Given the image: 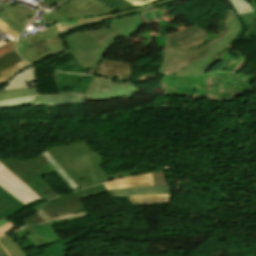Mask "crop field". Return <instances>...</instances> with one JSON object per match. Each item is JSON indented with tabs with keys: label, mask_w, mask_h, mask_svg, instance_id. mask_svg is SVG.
I'll return each instance as SVG.
<instances>
[{
	"label": "crop field",
	"mask_w": 256,
	"mask_h": 256,
	"mask_svg": "<svg viewBox=\"0 0 256 256\" xmlns=\"http://www.w3.org/2000/svg\"><path fill=\"white\" fill-rule=\"evenodd\" d=\"M62 3L55 8V13L67 20L101 16L117 12L114 8L95 0H59Z\"/></svg>",
	"instance_id": "crop-field-7"
},
{
	"label": "crop field",
	"mask_w": 256,
	"mask_h": 256,
	"mask_svg": "<svg viewBox=\"0 0 256 256\" xmlns=\"http://www.w3.org/2000/svg\"><path fill=\"white\" fill-rule=\"evenodd\" d=\"M155 185H169L163 169L152 172Z\"/></svg>",
	"instance_id": "crop-field-21"
},
{
	"label": "crop field",
	"mask_w": 256,
	"mask_h": 256,
	"mask_svg": "<svg viewBox=\"0 0 256 256\" xmlns=\"http://www.w3.org/2000/svg\"><path fill=\"white\" fill-rule=\"evenodd\" d=\"M31 228L48 243L58 239L49 223L31 226Z\"/></svg>",
	"instance_id": "crop-field-17"
},
{
	"label": "crop field",
	"mask_w": 256,
	"mask_h": 256,
	"mask_svg": "<svg viewBox=\"0 0 256 256\" xmlns=\"http://www.w3.org/2000/svg\"><path fill=\"white\" fill-rule=\"evenodd\" d=\"M34 16L35 13L14 5H11L0 11V19L3 18L4 22H6L20 34L31 22Z\"/></svg>",
	"instance_id": "crop-field-10"
},
{
	"label": "crop field",
	"mask_w": 256,
	"mask_h": 256,
	"mask_svg": "<svg viewBox=\"0 0 256 256\" xmlns=\"http://www.w3.org/2000/svg\"><path fill=\"white\" fill-rule=\"evenodd\" d=\"M54 29H56V27H54V28H52V29H49V30H47V31H44V32H42V33H39V34H43V33H46V32H48V31H51V30H54ZM39 34H36V35H39ZM36 35H34V36H36ZM34 36H31V37H34ZM31 37H29V38H31ZM29 38H26V39H24V40H27V39H29ZM24 40H21V41H19V42H22V41H24ZM19 42H17V43H19Z\"/></svg>",
	"instance_id": "crop-field-31"
},
{
	"label": "crop field",
	"mask_w": 256,
	"mask_h": 256,
	"mask_svg": "<svg viewBox=\"0 0 256 256\" xmlns=\"http://www.w3.org/2000/svg\"><path fill=\"white\" fill-rule=\"evenodd\" d=\"M57 1L58 0H47L44 3L46 5H51ZM97 1L107 3L119 11H124V10L131 9V8L135 7L133 4H131L130 2H128L126 0H97Z\"/></svg>",
	"instance_id": "crop-field-19"
},
{
	"label": "crop field",
	"mask_w": 256,
	"mask_h": 256,
	"mask_svg": "<svg viewBox=\"0 0 256 256\" xmlns=\"http://www.w3.org/2000/svg\"><path fill=\"white\" fill-rule=\"evenodd\" d=\"M138 172H141V171L135 169V170L127 171V172H122V173H117V174L109 175L108 177H109V179L111 180V179L123 177V176H126V175L138 173Z\"/></svg>",
	"instance_id": "crop-field-25"
},
{
	"label": "crop field",
	"mask_w": 256,
	"mask_h": 256,
	"mask_svg": "<svg viewBox=\"0 0 256 256\" xmlns=\"http://www.w3.org/2000/svg\"><path fill=\"white\" fill-rule=\"evenodd\" d=\"M15 42H16V40L13 41V42H11V43H8V44H6V45L1 46V47H0V56H2V55H4V54H6V53H8V52H10V51H12V50H14V49H15V47H14Z\"/></svg>",
	"instance_id": "crop-field-24"
},
{
	"label": "crop field",
	"mask_w": 256,
	"mask_h": 256,
	"mask_svg": "<svg viewBox=\"0 0 256 256\" xmlns=\"http://www.w3.org/2000/svg\"><path fill=\"white\" fill-rule=\"evenodd\" d=\"M52 172L74 191L42 155L29 161L0 160V220L36 201L57 196L41 178Z\"/></svg>",
	"instance_id": "crop-field-1"
},
{
	"label": "crop field",
	"mask_w": 256,
	"mask_h": 256,
	"mask_svg": "<svg viewBox=\"0 0 256 256\" xmlns=\"http://www.w3.org/2000/svg\"><path fill=\"white\" fill-rule=\"evenodd\" d=\"M86 94L82 93H61L55 95H38L33 103V107L37 106H59L73 103H85Z\"/></svg>",
	"instance_id": "crop-field-11"
},
{
	"label": "crop field",
	"mask_w": 256,
	"mask_h": 256,
	"mask_svg": "<svg viewBox=\"0 0 256 256\" xmlns=\"http://www.w3.org/2000/svg\"><path fill=\"white\" fill-rule=\"evenodd\" d=\"M79 186L87 187L107 181L100 165L104 162L99 153L84 141L48 150Z\"/></svg>",
	"instance_id": "crop-field-4"
},
{
	"label": "crop field",
	"mask_w": 256,
	"mask_h": 256,
	"mask_svg": "<svg viewBox=\"0 0 256 256\" xmlns=\"http://www.w3.org/2000/svg\"><path fill=\"white\" fill-rule=\"evenodd\" d=\"M49 163L59 172V174L69 183V185L74 189H80L79 186L74 182V180L67 174V172L60 166V164L52 157V155L46 150L42 154Z\"/></svg>",
	"instance_id": "crop-field-18"
},
{
	"label": "crop field",
	"mask_w": 256,
	"mask_h": 256,
	"mask_svg": "<svg viewBox=\"0 0 256 256\" xmlns=\"http://www.w3.org/2000/svg\"><path fill=\"white\" fill-rule=\"evenodd\" d=\"M0 27L7 32L10 36H12L14 39L19 37V33H17L15 30H13L10 26H8L6 23H4L2 20H0Z\"/></svg>",
	"instance_id": "crop-field-22"
},
{
	"label": "crop field",
	"mask_w": 256,
	"mask_h": 256,
	"mask_svg": "<svg viewBox=\"0 0 256 256\" xmlns=\"http://www.w3.org/2000/svg\"><path fill=\"white\" fill-rule=\"evenodd\" d=\"M0 239L13 256H26L23 249L15 242L14 239L7 235L0 237Z\"/></svg>",
	"instance_id": "crop-field-20"
},
{
	"label": "crop field",
	"mask_w": 256,
	"mask_h": 256,
	"mask_svg": "<svg viewBox=\"0 0 256 256\" xmlns=\"http://www.w3.org/2000/svg\"><path fill=\"white\" fill-rule=\"evenodd\" d=\"M29 65H30V64H28V63L25 64V65H23L22 67L16 69L15 71H13V72H11V73H9V74H6V75L0 77V80L3 79V78H6V77H8V76H10V75H12V74H14L15 72H17V71H19V70H21V69H23V68H25V67H27V66H29Z\"/></svg>",
	"instance_id": "crop-field-28"
},
{
	"label": "crop field",
	"mask_w": 256,
	"mask_h": 256,
	"mask_svg": "<svg viewBox=\"0 0 256 256\" xmlns=\"http://www.w3.org/2000/svg\"><path fill=\"white\" fill-rule=\"evenodd\" d=\"M0 256H5L4 251L2 250L1 247H0Z\"/></svg>",
	"instance_id": "crop-field-32"
},
{
	"label": "crop field",
	"mask_w": 256,
	"mask_h": 256,
	"mask_svg": "<svg viewBox=\"0 0 256 256\" xmlns=\"http://www.w3.org/2000/svg\"><path fill=\"white\" fill-rule=\"evenodd\" d=\"M134 205L170 203V195H146L128 197Z\"/></svg>",
	"instance_id": "crop-field-16"
},
{
	"label": "crop field",
	"mask_w": 256,
	"mask_h": 256,
	"mask_svg": "<svg viewBox=\"0 0 256 256\" xmlns=\"http://www.w3.org/2000/svg\"><path fill=\"white\" fill-rule=\"evenodd\" d=\"M13 76H14V75H13ZM13 76H11V77H9V78H6V79L1 80V81H0V86H1V85H3V84H5V83H7V82H9V80H10V79H12V78H13Z\"/></svg>",
	"instance_id": "crop-field-29"
},
{
	"label": "crop field",
	"mask_w": 256,
	"mask_h": 256,
	"mask_svg": "<svg viewBox=\"0 0 256 256\" xmlns=\"http://www.w3.org/2000/svg\"><path fill=\"white\" fill-rule=\"evenodd\" d=\"M111 196H133L145 194H170V186H149L108 191Z\"/></svg>",
	"instance_id": "crop-field-14"
},
{
	"label": "crop field",
	"mask_w": 256,
	"mask_h": 256,
	"mask_svg": "<svg viewBox=\"0 0 256 256\" xmlns=\"http://www.w3.org/2000/svg\"><path fill=\"white\" fill-rule=\"evenodd\" d=\"M106 192L105 187L101 184L95 187L69 193L65 196L50 199L48 200V203L36 206L35 210L37 211L42 208L55 221L81 218L89 214L85 212L70 214L74 211L81 210L83 205L79 199Z\"/></svg>",
	"instance_id": "crop-field-6"
},
{
	"label": "crop field",
	"mask_w": 256,
	"mask_h": 256,
	"mask_svg": "<svg viewBox=\"0 0 256 256\" xmlns=\"http://www.w3.org/2000/svg\"><path fill=\"white\" fill-rule=\"evenodd\" d=\"M3 39L2 37H0V40Z\"/></svg>",
	"instance_id": "crop-field-34"
},
{
	"label": "crop field",
	"mask_w": 256,
	"mask_h": 256,
	"mask_svg": "<svg viewBox=\"0 0 256 256\" xmlns=\"http://www.w3.org/2000/svg\"><path fill=\"white\" fill-rule=\"evenodd\" d=\"M26 62L17 54L16 50L0 57V76L20 67Z\"/></svg>",
	"instance_id": "crop-field-15"
},
{
	"label": "crop field",
	"mask_w": 256,
	"mask_h": 256,
	"mask_svg": "<svg viewBox=\"0 0 256 256\" xmlns=\"http://www.w3.org/2000/svg\"><path fill=\"white\" fill-rule=\"evenodd\" d=\"M65 50H67V47H66V46H65V47H62V48H59V49H56V50H53V51H50V52H48V53H46V54H44V55H42V56H40V57H37V58H35V59L29 61V63L35 64V63H37L38 61H40V60H42V59H44V58H46V57H48V56H50V55H52V54H54V53L62 52V51H65ZM54 55H55V54H54Z\"/></svg>",
	"instance_id": "crop-field-23"
},
{
	"label": "crop field",
	"mask_w": 256,
	"mask_h": 256,
	"mask_svg": "<svg viewBox=\"0 0 256 256\" xmlns=\"http://www.w3.org/2000/svg\"><path fill=\"white\" fill-rule=\"evenodd\" d=\"M6 222H8V221L5 219V220H3V221L0 222V225L4 224V223H6Z\"/></svg>",
	"instance_id": "crop-field-33"
},
{
	"label": "crop field",
	"mask_w": 256,
	"mask_h": 256,
	"mask_svg": "<svg viewBox=\"0 0 256 256\" xmlns=\"http://www.w3.org/2000/svg\"><path fill=\"white\" fill-rule=\"evenodd\" d=\"M13 226L14 225L12 223H10V222L0 226V236L5 234V233H7V232H9L13 228Z\"/></svg>",
	"instance_id": "crop-field-27"
},
{
	"label": "crop field",
	"mask_w": 256,
	"mask_h": 256,
	"mask_svg": "<svg viewBox=\"0 0 256 256\" xmlns=\"http://www.w3.org/2000/svg\"><path fill=\"white\" fill-rule=\"evenodd\" d=\"M131 71L132 64L130 63H122L103 58L100 64L89 70L88 73L101 75L116 81H128L130 80Z\"/></svg>",
	"instance_id": "crop-field-9"
},
{
	"label": "crop field",
	"mask_w": 256,
	"mask_h": 256,
	"mask_svg": "<svg viewBox=\"0 0 256 256\" xmlns=\"http://www.w3.org/2000/svg\"><path fill=\"white\" fill-rule=\"evenodd\" d=\"M131 3H133L134 5H136L137 7L145 5V4H149V3H153V2H157L160 0H128Z\"/></svg>",
	"instance_id": "crop-field-26"
},
{
	"label": "crop field",
	"mask_w": 256,
	"mask_h": 256,
	"mask_svg": "<svg viewBox=\"0 0 256 256\" xmlns=\"http://www.w3.org/2000/svg\"><path fill=\"white\" fill-rule=\"evenodd\" d=\"M249 33L256 31V0H229Z\"/></svg>",
	"instance_id": "crop-field-12"
},
{
	"label": "crop field",
	"mask_w": 256,
	"mask_h": 256,
	"mask_svg": "<svg viewBox=\"0 0 256 256\" xmlns=\"http://www.w3.org/2000/svg\"><path fill=\"white\" fill-rule=\"evenodd\" d=\"M0 246L3 248V250L5 251L7 256H12L9 251L6 249V247L2 244V242L0 241Z\"/></svg>",
	"instance_id": "crop-field-30"
},
{
	"label": "crop field",
	"mask_w": 256,
	"mask_h": 256,
	"mask_svg": "<svg viewBox=\"0 0 256 256\" xmlns=\"http://www.w3.org/2000/svg\"><path fill=\"white\" fill-rule=\"evenodd\" d=\"M104 184L107 190L125 187L154 185L151 172L137 176L116 179L113 181L105 182Z\"/></svg>",
	"instance_id": "crop-field-13"
},
{
	"label": "crop field",
	"mask_w": 256,
	"mask_h": 256,
	"mask_svg": "<svg viewBox=\"0 0 256 256\" xmlns=\"http://www.w3.org/2000/svg\"><path fill=\"white\" fill-rule=\"evenodd\" d=\"M142 21L137 13L109 20L106 23V28L103 29L61 33L68 46V51L61 56L70 52L86 70H89L99 64L108 48L119 37L130 38L133 36L138 31Z\"/></svg>",
	"instance_id": "crop-field-3"
},
{
	"label": "crop field",
	"mask_w": 256,
	"mask_h": 256,
	"mask_svg": "<svg viewBox=\"0 0 256 256\" xmlns=\"http://www.w3.org/2000/svg\"><path fill=\"white\" fill-rule=\"evenodd\" d=\"M242 27L233 10L225 11L219 29L196 52L166 48L162 75L204 74L232 50L230 46Z\"/></svg>",
	"instance_id": "crop-field-2"
},
{
	"label": "crop field",
	"mask_w": 256,
	"mask_h": 256,
	"mask_svg": "<svg viewBox=\"0 0 256 256\" xmlns=\"http://www.w3.org/2000/svg\"><path fill=\"white\" fill-rule=\"evenodd\" d=\"M140 92L131 82L116 83L94 77L87 92V99L91 101L108 100Z\"/></svg>",
	"instance_id": "crop-field-8"
},
{
	"label": "crop field",
	"mask_w": 256,
	"mask_h": 256,
	"mask_svg": "<svg viewBox=\"0 0 256 256\" xmlns=\"http://www.w3.org/2000/svg\"><path fill=\"white\" fill-rule=\"evenodd\" d=\"M175 1H178V0H163L157 3L145 5L139 8H134L124 12H117V13H113V14H109L101 17H89V18H82V19H76L71 21L57 22L56 25L58 26L59 29H56L54 31H51L43 35L36 36L34 38H31L27 41H24L16 45L17 52L20 54V56L23 59L28 61L50 50L65 46V43L60 35V33L63 31L72 30L76 27H80L83 25L92 24V23L109 20L112 18L124 16V15H129L132 13L152 9V8L166 5Z\"/></svg>",
	"instance_id": "crop-field-5"
}]
</instances>
